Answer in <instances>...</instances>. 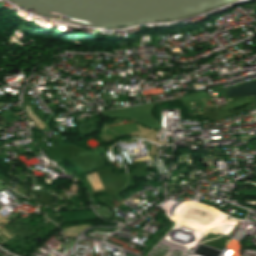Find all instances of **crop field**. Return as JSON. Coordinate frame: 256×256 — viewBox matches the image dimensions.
<instances>
[{
	"label": "crop field",
	"mask_w": 256,
	"mask_h": 256,
	"mask_svg": "<svg viewBox=\"0 0 256 256\" xmlns=\"http://www.w3.org/2000/svg\"><path fill=\"white\" fill-rule=\"evenodd\" d=\"M27 109L31 113V115L34 117V119L37 121V123L40 125V127L43 128L42 124L39 122V120L36 118V116L33 114V112L30 110V108L27 107Z\"/></svg>",
	"instance_id": "ac0d7876"
},
{
	"label": "crop field",
	"mask_w": 256,
	"mask_h": 256,
	"mask_svg": "<svg viewBox=\"0 0 256 256\" xmlns=\"http://www.w3.org/2000/svg\"><path fill=\"white\" fill-rule=\"evenodd\" d=\"M227 97H239L256 94V81L232 87L226 90Z\"/></svg>",
	"instance_id": "8a807250"
},
{
	"label": "crop field",
	"mask_w": 256,
	"mask_h": 256,
	"mask_svg": "<svg viewBox=\"0 0 256 256\" xmlns=\"http://www.w3.org/2000/svg\"><path fill=\"white\" fill-rule=\"evenodd\" d=\"M82 227H86V226H82ZM82 227H74V228H67V229H75V228H82ZM67 229H64V230H67ZM76 230H79V229H75V230H67V231H64V232H68V231H76ZM76 232H73V233H67L65 235H68V234H74Z\"/></svg>",
	"instance_id": "34b2d1b8"
},
{
	"label": "crop field",
	"mask_w": 256,
	"mask_h": 256,
	"mask_svg": "<svg viewBox=\"0 0 256 256\" xmlns=\"http://www.w3.org/2000/svg\"><path fill=\"white\" fill-rule=\"evenodd\" d=\"M202 102H204V107L206 106V99H202Z\"/></svg>",
	"instance_id": "f4fd0767"
},
{
	"label": "crop field",
	"mask_w": 256,
	"mask_h": 256,
	"mask_svg": "<svg viewBox=\"0 0 256 256\" xmlns=\"http://www.w3.org/2000/svg\"><path fill=\"white\" fill-rule=\"evenodd\" d=\"M90 178L92 179L93 183L95 184V186H97V183L94 181V179L91 177V175H89ZM86 179L88 180L89 184L91 185V187H93V184L91 183L90 179L88 178V176H86Z\"/></svg>",
	"instance_id": "412701ff"
}]
</instances>
